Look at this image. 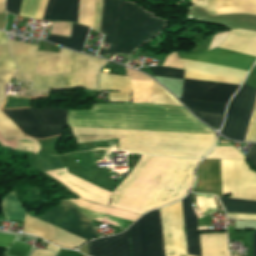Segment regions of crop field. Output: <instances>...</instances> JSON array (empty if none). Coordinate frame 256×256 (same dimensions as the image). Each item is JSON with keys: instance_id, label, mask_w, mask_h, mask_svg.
Masks as SVG:
<instances>
[{"instance_id": "crop-field-25", "label": "crop field", "mask_w": 256, "mask_h": 256, "mask_svg": "<svg viewBox=\"0 0 256 256\" xmlns=\"http://www.w3.org/2000/svg\"><path fill=\"white\" fill-rule=\"evenodd\" d=\"M188 109L210 126L220 127L224 118V112L192 108Z\"/></svg>"}, {"instance_id": "crop-field-40", "label": "crop field", "mask_w": 256, "mask_h": 256, "mask_svg": "<svg viewBox=\"0 0 256 256\" xmlns=\"http://www.w3.org/2000/svg\"><path fill=\"white\" fill-rule=\"evenodd\" d=\"M249 159L254 166L256 167V144H254V146L252 147V149L249 151L246 159Z\"/></svg>"}, {"instance_id": "crop-field-15", "label": "crop field", "mask_w": 256, "mask_h": 256, "mask_svg": "<svg viewBox=\"0 0 256 256\" xmlns=\"http://www.w3.org/2000/svg\"><path fill=\"white\" fill-rule=\"evenodd\" d=\"M99 90H115L109 93L110 102H130L132 83L129 77L101 73Z\"/></svg>"}, {"instance_id": "crop-field-38", "label": "crop field", "mask_w": 256, "mask_h": 256, "mask_svg": "<svg viewBox=\"0 0 256 256\" xmlns=\"http://www.w3.org/2000/svg\"><path fill=\"white\" fill-rule=\"evenodd\" d=\"M229 218L234 219H250V220H256V214H238V213H229Z\"/></svg>"}, {"instance_id": "crop-field-24", "label": "crop field", "mask_w": 256, "mask_h": 256, "mask_svg": "<svg viewBox=\"0 0 256 256\" xmlns=\"http://www.w3.org/2000/svg\"><path fill=\"white\" fill-rule=\"evenodd\" d=\"M133 82L132 103H149L152 82Z\"/></svg>"}, {"instance_id": "crop-field-43", "label": "crop field", "mask_w": 256, "mask_h": 256, "mask_svg": "<svg viewBox=\"0 0 256 256\" xmlns=\"http://www.w3.org/2000/svg\"><path fill=\"white\" fill-rule=\"evenodd\" d=\"M48 249L53 250V251H55V252H57V253H58L59 250H60L59 248L54 247V246H52V245H50V244H49V246H48Z\"/></svg>"}, {"instance_id": "crop-field-11", "label": "crop field", "mask_w": 256, "mask_h": 256, "mask_svg": "<svg viewBox=\"0 0 256 256\" xmlns=\"http://www.w3.org/2000/svg\"><path fill=\"white\" fill-rule=\"evenodd\" d=\"M11 54L18 65L16 78L34 80L33 89L50 92L52 77L34 74L37 56L58 55L37 51L39 46L28 45L9 40ZM15 78V77H14Z\"/></svg>"}, {"instance_id": "crop-field-8", "label": "crop field", "mask_w": 256, "mask_h": 256, "mask_svg": "<svg viewBox=\"0 0 256 256\" xmlns=\"http://www.w3.org/2000/svg\"><path fill=\"white\" fill-rule=\"evenodd\" d=\"M21 131L35 139L63 134L66 125L64 108L2 110Z\"/></svg>"}, {"instance_id": "crop-field-39", "label": "crop field", "mask_w": 256, "mask_h": 256, "mask_svg": "<svg viewBox=\"0 0 256 256\" xmlns=\"http://www.w3.org/2000/svg\"><path fill=\"white\" fill-rule=\"evenodd\" d=\"M15 236L0 233V245L9 246ZM13 242V241H12Z\"/></svg>"}, {"instance_id": "crop-field-44", "label": "crop field", "mask_w": 256, "mask_h": 256, "mask_svg": "<svg viewBox=\"0 0 256 256\" xmlns=\"http://www.w3.org/2000/svg\"><path fill=\"white\" fill-rule=\"evenodd\" d=\"M254 256H256V232H255V239H254Z\"/></svg>"}, {"instance_id": "crop-field-27", "label": "crop field", "mask_w": 256, "mask_h": 256, "mask_svg": "<svg viewBox=\"0 0 256 256\" xmlns=\"http://www.w3.org/2000/svg\"><path fill=\"white\" fill-rule=\"evenodd\" d=\"M150 103L155 104H170V105H180L171 94L165 91L161 86L156 82H153L152 94Z\"/></svg>"}, {"instance_id": "crop-field-23", "label": "crop field", "mask_w": 256, "mask_h": 256, "mask_svg": "<svg viewBox=\"0 0 256 256\" xmlns=\"http://www.w3.org/2000/svg\"><path fill=\"white\" fill-rule=\"evenodd\" d=\"M244 155L236 147L216 146L205 159H244Z\"/></svg>"}, {"instance_id": "crop-field-20", "label": "crop field", "mask_w": 256, "mask_h": 256, "mask_svg": "<svg viewBox=\"0 0 256 256\" xmlns=\"http://www.w3.org/2000/svg\"><path fill=\"white\" fill-rule=\"evenodd\" d=\"M197 6V0H191ZM220 12L224 13H249L256 14V0H219Z\"/></svg>"}, {"instance_id": "crop-field-10", "label": "crop field", "mask_w": 256, "mask_h": 256, "mask_svg": "<svg viewBox=\"0 0 256 256\" xmlns=\"http://www.w3.org/2000/svg\"><path fill=\"white\" fill-rule=\"evenodd\" d=\"M105 63L107 61L73 52L71 74L54 77L53 89L84 86L97 90L98 73Z\"/></svg>"}, {"instance_id": "crop-field-37", "label": "crop field", "mask_w": 256, "mask_h": 256, "mask_svg": "<svg viewBox=\"0 0 256 256\" xmlns=\"http://www.w3.org/2000/svg\"><path fill=\"white\" fill-rule=\"evenodd\" d=\"M21 0H6L7 12L17 14L19 13Z\"/></svg>"}, {"instance_id": "crop-field-30", "label": "crop field", "mask_w": 256, "mask_h": 256, "mask_svg": "<svg viewBox=\"0 0 256 256\" xmlns=\"http://www.w3.org/2000/svg\"><path fill=\"white\" fill-rule=\"evenodd\" d=\"M187 107L225 111L226 104L180 99Z\"/></svg>"}, {"instance_id": "crop-field-35", "label": "crop field", "mask_w": 256, "mask_h": 256, "mask_svg": "<svg viewBox=\"0 0 256 256\" xmlns=\"http://www.w3.org/2000/svg\"><path fill=\"white\" fill-rule=\"evenodd\" d=\"M162 65L183 69L176 52H173L170 55H168L166 61Z\"/></svg>"}, {"instance_id": "crop-field-14", "label": "crop field", "mask_w": 256, "mask_h": 256, "mask_svg": "<svg viewBox=\"0 0 256 256\" xmlns=\"http://www.w3.org/2000/svg\"><path fill=\"white\" fill-rule=\"evenodd\" d=\"M71 62L72 52L61 48L59 56L38 57L35 73L52 76L68 74Z\"/></svg>"}, {"instance_id": "crop-field-2", "label": "crop field", "mask_w": 256, "mask_h": 256, "mask_svg": "<svg viewBox=\"0 0 256 256\" xmlns=\"http://www.w3.org/2000/svg\"><path fill=\"white\" fill-rule=\"evenodd\" d=\"M152 158L153 156L142 155L132 172L113 193L69 174L66 168L46 173L87 201L118 208L123 196L143 174ZM175 160L176 158L154 157L144 174L124 196L118 209L140 215L165 179ZM200 161L177 158L168 176L142 214L186 195L192 187L194 169Z\"/></svg>"}, {"instance_id": "crop-field-34", "label": "crop field", "mask_w": 256, "mask_h": 256, "mask_svg": "<svg viewBox=\"0 0 256 256\" xmlns=\"http://www.w3.org/2000/svg\"><path fill=\"white\" fill-rule=\"evenodd\" d=\"M245 141L256 142V103L254 106L253 114L251 117L249 129H248Z\"/></svg>"}, {"instance_id": "crop-field-42", "label": "crop field", "mask_w": 256, "mask_h": 256, "mask_svg": "<svg viewBox=\"0 0 256 256\" xmlns=\"http://www.w3.org/2000/svg\"><path fill=\"white\" fill-rule=\"evenodd\" d=\"M7 43L6 34L4 32H0V44Z\"/></svg>"}, {"instance_id": "crop-field-31", "label": "crop field", "mask_w": 256, "mask_h": 256, "mask_svg": "<svg viewBox=\"0 0 256 256\" xmlns=\"http://www.w3.org/2000/svg\"><path fill=\"white\" fill-rule=\"evenodd\" d=\"M154 75L166 76V77H175L183 79L185 70L166 68V67H154L149 68Z\"/></svg>"}, {"instance_id": "crop-field-21", "label": "crop field", "mask_w": 256, "mask_h": 256, "mask_svg": "<svg viewBox=\"0 0 256 256\" xmlns=\"http://www.w3.org/2000/svg\"><path fill=\"white\" fill-rule=\"evenodd\" d=\"M72 202L80 209L114 216V217H117V218H120L123 220H127V221H131V222H133L138 217H140V216H137V215L125 212V211L117 210L115 208H108V207L99 206L96 204L87 203L81 199L72 200Z\"/></svg>"}, {"instance_id": "crop-field-3", "label": "crop field", "mask_w": 256, "mask_h": 256, "mask_svg": "<svg viewBox=\"0 0 256 256\" xmlns=\"http://www.w3.org/2000/svg\"><path fill=\"white\" fill-rule=\"evenodd\" d=\"M256 55V32L233 30L218 46ZM215 48L205 52L177 51L179 58L249 70L256 56ZM181 60V59H180ZM184 78L241 84L248 71L181 60ZM184 79L181 98L228 103L239 85Z\"/></svg>"}, {"instance_id": "crop-field-13", "label": "crop field", "mask_w": 256, "mask_h": 256, "mask_svg": "<svg viewBox=\"0 0 256 256\" xmlns=\"http://www.w3.org/2000/svg\"><path fill=\"white\" fill-rule=\"evenodd\" d=\"M89 256H130L127 230L117 236L88 243Z\"/></svg>"}, {"instance_id": "crop-field-19", "label": "crop field", "mask_w": 256, "mask_h": 256, "mask_svg": "<svg viewBox=\"0 0 256 256\" xmlns=\"http://www.w3.org/2000/svg\"><path fill=\"white\" fill-rule=\"evenodd\" d=\"M0 56L11 57L8 52L7 44L0 45ZM0 57V68L2 69H16V65L12 58ZM0 69V100L4 99L5 83H9L14 76L16 70H2Z\"/></svg>"}, {"instance_id": "crop-field-7", "label": "crop field", "mask_w": 256, "mask_h": 256, "mask_svg": "<svg viewBox=\"0 0 256 256\" xmlns=\"http://www.w3.org/2000/svg\"><path fill=\"white\" fill-rule=\"evenodd\" d=\"M221 172L223 195L256 200V172L245 160H221ZM233 198H219L226 212L256 213V201Z\"/></svg>"}, {"instance_id": "crop-field-6", "label": "crop field", "mask_w": 256, "mask_h": 256, "mask_svg": "<svg viewBox=\"0 0 256 256\" xmlns=\"http://www.w3.org/2000/svg\"><path fill=\"white\" fill-rule=\"evenodd\" d=\"M163 23L133 4L104 0L100 32L106 34L103 42L111 45L108 49L101 47L98 54H130L143 41L157 34Z\"/></svg>"}, {"instance_id": "crop-field-1", "label": "crop field", "mask_w": 256, "mask_h": 256, "mask_svg": "<svg viewBox=\"0 0 256 256\" xmlns=\"http://www.w3.org/2000/svg\"><path fill=\"white\" fill-rule=\"evenodd\" d=\"M67 124L141 131L216 135L184 107L154 104H94L68 110ZM68 125L77 143L119 139V149L135 153L203 158L216 136L164 134Z\"/></svg>"}, {"instance_id": "crop-field-22", "label": "crop field", "mask_w": 256, "mask_h": 256, "mask_svg": "<svg viewBox=\"0 0 256 256\" xmlns=\"http://www.w3.org/2000/svg\"><path fill=\"white\" fill-rule=\"evenodd\" d=\"M0 144L2 147L17 148L18 150H25L35 153H37V151L40 149V144L31 137L3 139L0 135Z\"/></svg>"}, {"instance_id": "crop-field-32", "label": "crop field", "mask_w": 256, "mask_h": 256, "mask_svg": "<svg viewBox=\"0 0 256 256\" xmlns=\"http://www.w3.org/2000/svg\"><path fill=\"white\" fill-rule=\"evenodd\" d=\"M72 23L53 22L50 34L70 37Z\"/></svg>"}, {"instance_id": "crop-field-18", "label": "crop field", "mask_w": 256, "mask_h": 256, "mask_svg": "<svg viewBox=\"0 0 256 256\" xmlns=\"http://www.w3.org/2000/svg\"><path fill=\"white\" fill-rule=\"evenodd\" d=\"M89 28L73 23L71 38L49 35L46 40L52 41L60 46L82 52L85 37Z\"/></svg>"}, {"instance_id": "crop-field-33", "label": "crop field", "mask_w": 256, "mask_h": 256, "mask_svg": "<svg viewBox=\"0 0 256 256\" xmlns=\"http://www.w3.org/2000/svg\"><path fill=\"white\" fill-rule=\"evenodd\" d=\"M31 246H27L20 243H14L12 247L8 250L6 255L8 256H27Z\"/></svg>"}, {"instance_id": "crop-field-28", "label": "crop field", "mask_w": 256, "mask_h": 256, "mask_svg": "<svg viewBox=\"0 0 256 256\" xmlns=\"http://www.w3.org/2000/svg\"><path fill=\"white\" fill-rule=\"evenodd\" d=\"M3 102H0V106ZM0 134L3 138L24 136L13 122L5 117L0 111Z\"/></svg>"}, {"instance_id": "crop-field-26", "label": "crop field", "mask_w": 256, "mask_h": 256, "mask_svg": "<svg viewBox=\"0 0 256 256\" xmlns=\"http://www.w3.org/2000/svg\"><path fill=\"white\" fill-rule=\"evenodd\" d=\"M94 1L95 0H88V6H87L86 25L91 27V28H92V24H93ZM102 2H103V0H96L95 1V12H94L93 29L98 31V32H99V28H100Z\"/></svg>"}, {"instance_id": "crop-field-17", "label": "crop field", "mask_w": 256, "mask_h": 256, "mask_svg": "<svg viewBox=\"0 0 256 256\" xmlns=\"http://www.w3.org/2000/svg\"><path fill=\"white\" fill-rule=\"evenodd\" d=\"M61 0H49L43 20L60 21ZM79 0H63L61 21L78 23Z\"/></svg>"}, {"instance_id": "crop-field-29", "label": "crop field", "mask_w": 256, "mask_h": 256, "mask_svg": "<svg viewBox=\"0 0 256 256\" xmlns=\"http://www.w3.org/2000/svg\"><path fill=\"white\" fill-rule=\"evenodd\" d=\"M40 0H22L20 16L34 19Z\"/></svg>"}, {"instance_id": "crop-field-9", "label": "crop field", "mask_w": 256, "mask_h": 256, "mask_svg": "<svg viewBox=\"0 0 256 256\" xmlns=\"http://www.w3.org/2000/svg\"><path fill=\"white\" fill-rule=\"evenodd\" d=\"M255 99L256 89L243 84L228 105L226 120L220 133L233 140L244 141Z\"/></svg>"}, {"instance_id": "crop-field-4", "label": "crop field", "mask_w": 256, "mask_h": 256, "mask_svg": "<svg viewBox=\"0 0 256 256\" xmlns=\"http://www.w3.org/2000/svg\"><path fill=\"white\" fill-rule=\"evenodd\" d=\"M166 249L186 253L181 201L159 209ZM159 211L145 214L129 227L132 256H165ZM202 256H229L226 234L200 235ZM166 250V256H190Z\"/></svg>"}, {"instance_id": "crop-field-16", "label": "crop field", "mask_w": 256, "mask_h": 256, "mask_svg": "<svg viewBox=\"0 0 256 256\" xmlns=\"http://www.w3.org/2000/svg\"><path fill=\"white\" fill-rule=\"evenodd\" d=\"M183 210L185 218L186 242L188 254L201 256L200 241L198 234V222L190 201V194L183 200Z\"/></svg>"}, {"instance_id": "crop-field-36", "label": "crop field", "mask_w": 256, "mask_h": 256, "mask_svg": "<svg viewBox=\"0 0 256 256\" xmlns=\"http://www.w3.org/2000/svg\"><path fill=\"white\" fill-rule=\"evenodd\" d=\"M126 71L127 74L131 80H140V81H154L152 80L150 77H148L147 75L140 73V72H136L134 70H131L129 68L126 67Z\"/></svg>"}, {"instance_id": "crop-field-45", "label": "crop field", "mask_w": 256, "mask_h": 256, "mask_svg": "<svg viewBox=\"0 0 256 256\" xmlns=\"http://www.w3.org/2000/svg\"><path fill=\"white\" fill-rule=\"evenodd\" d=\"M0 13H4V3H0Z\"/></svg>"}, {"instance_id": "crop-field-5", "label": "crop field", "mask_w": 256, "mask_h": 256, "mask_svg": "<svg viewBox=\"0 0 256 256\" xmlns=\"http://www.w3.org/2000/svg\"><path fill=\"white\" fill-rule=\"evenodd\" d=\"M1 206L4 218L24 221L25 211L22 210L14 192L3 199ZM38 218L54 222L88 240L96 237L90 222L65 200H60L59 205ZM38 218L28 216L26 212L23 232L40 236L65 248H74L87 242L51 222Z\"/></svg>"}, {"instance_id": "crop-field-12", "label": "crop field", "mask_w": 256, "mask_h": 256, "mask_svg": "<svg viewBox=\"0 0 256 256\" xmlns=\"http://www.w3.org/2000/svg\"><path fill=\"white\" fill-rule=\"evenodd\" d=\"M193 192L222 195L220 160H204L197 169V184Z\"/></svg>"}, {"instance_id": "crop-field-41", "label": "crop field", "mask_w": 256, "mask_h": 256, "mask_svg": "<svg viewBox=\"0 0 256 256\" xmlns=\"http://www.w3.org/2000/svg\"><path fill=\"white\" fill-rule=\"evenodd\" d=\"M54 253L35 250L32 256H53Z\"/></svg>"}]
</instances>
